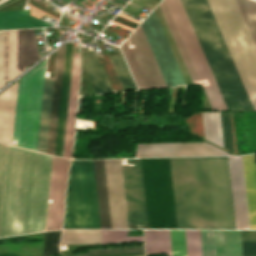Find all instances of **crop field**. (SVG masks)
<instances>
[{
	"label": "crop field",
	"mask_w": 256,
	"mask_h": 256,
	"mask_svg": "<svg viewBox=\"0 0 256 256\" xmlns=\"http://www.w3.org/2000/svg\"><path fill=\"white\" fill-rule=\"evenodd\" d=\"M53 156L8 145L0 237L45 229Z\"/></svg>",
	"instance_id": "1"
},
{
	"label": "crop field",
	"mask_w": 256,
	"mask_h": 256,
	"mask_svg": "<svg viewBox=\"0 0 256 256\" xmlns=\"http://www.w3.org/2000/svg\"><path fill=\"white\" fill-rule=\"evenodd\" d=\"M229 110H254L206 0H181Z\"/></svg>",
	"instance_id": "2"
},
{
	"label": "crop field",
	"mask_w": 256,
	"mask_h": 256,
	"mask_svg": "<svg viewBox=\"0 0 256 256\" xmlns=\"http://www.w3.org/2000/svg\"><path fill=\"white\" fill-rule=\"evenodd\" d=\"M170 162L178 229H214L206 157Z\"/></svg>",
	"instance_id": "3"
},
{
	"label": "crop field",
	"mask_w": 256,
	"mask_h": 256,
	"mask_svg": "<svg viewBox=\"0 0 256 256\" xmlns=\"http://www.w3.org/2000/svg\"><path fill=\"white\" fill-rule=\"evenodd\" d=\"M256 110V47L235 0H208Z\"/></svg>",
	"instance_id": "4"
},
{
	"label": "crop field",
	"mask_w": 256,
	"mask_h": 256,
	"mask_svg": "<svg viewBox=\"0 0 256 256\" xmlns=\"http://www.w3.org/2000/svg\"><path fill=\"white\" fill-rule=\"evenodd\" d=\"M141 163L149 228L177 229L169 158Z\"/></svg>",
	"instance_id": "5"
},
{
	"label": "crop field",
	"mask_w": 256,
	"mask_h": 256,
	"mask_svg": "<svg viewBox=\"0 0 256 256\" xmlns=\"http://www.w3.org/2000/svg\"><path fill=\"white\" fill-rule=\"evenodd\" d=\"M63 228H100L92 160L72 161Z\"/></svg>",
	"instance_id": "6"
},
{
	"label": "crop field",
	"mask_w": 256,
	"mask_h": 256,
	"mask_svg": "<svg viewBox=\"0 0 256 256\" xmlns=\"http://www.w3.org/2000/svg\"><path fill=\"white\" fill-rule=\"evenodd\" d=\"M93 164L101 228H128L120 159Z\"/></svg>",
	"instance_id": "7"
},
{
	"label": "crop field",
	"mask_w": 256,
	"mask_h": 256,
	"mask_svg": "<svg viewBox=\"0 0 256 256\" xmlns=\"http://www.w3.org/2000/svg\"><path fill=\"white\" fill-rule=\"evenodd\" d=\"M46 60L21 78L14 139L17 146L36 150Z\"/></svg>",
	"instance_id": "8"
},
{
	"label": "crop field",
	"mask_w": 256,
	"mask_h": 256,
	"mask_svg": "<svg viewBox=\"0 0 256 256\" xmlns=\"http://www.w3.org/2000/svg\"><path fill=\"white\" fill-rule=\"evenodd\" d=\"M35 32V29H34ZM33 29L0 32V87L38 60Z\"/></svg>",
	"instance_id": "9"
},
{
	"label": "crop field",
	"mask_w": 256,
	"mask_h": 256,
	"mask_svg": "<svg viewBox=\"0 0 256 256\" xmlns=\"http://www.w3.org/2000/svg\"><path fill=\"white\" fill-rule=\"evenodd\" d=\"M195 70L201 82L206 81L207 85L202 86L213 110H228L221 93L217 87L214 77L206 62L203 52L199 46L196 36L188 21L180 0H166ZM166 4V5H167Z\"/></svg>",
	"instance_id": "10"
},
{
	"label": "crop field",
	"mask_w": 256,
	"mask_h": 256,
	"mask_svg": "<svg viewBox=\"0 0 256 256\" xmlns=\"http://www.w3.org/2000/svg\"><path fill=\"white\" fill-rule=\"evenodd\" d=\"M135 48L129 49L126 41L121 46L139 89L167 87L141 26L129 37Z\"/></svg>",
	"instance_id": "11"
},
{
	"label": "crop field",
	"mask_w": 256,
	"mask_h": 256,
	"mask_svg": "<svg viewBox=\"0 0 256 256\" xmlns=\"http://www.w3.org/2000/svg\"><path fill=\"white\" fill-rule=\"evenodd\" d=\"M215 229H235L227 157H207Z\"/></svg>",
	"instance_id": "12"
},
{
	"label": "crop field",
	"mask_w": 256,
	"mask_h": 256,
	"mask_svg": "<svg viewBox=\"0 0 256 256\" xmlns=\"http://www.w3.org/2000/svg\"><path fill=\"white\" fill-rule=\"evenodd\" d=\"M122 165L129 228H148L140 159Z\"/></svg>",
	"instance_id": "13"
},
{
	"label": "crop field",
	"mask_w": 256,
	"mask_h": 256,
	"mask_svg": "<svg viewBox=\"0 0 256 256\" xmlns=\"http://www.w3.org/2000/svg\"><path fill=\"white\" fill-rule=\"evenodd\" d=\"M141 26L165 81L174 80L176 86L186 84L154 12L148 16Z\"/></svg>",
	"instance_id": "14"
},
{
	"label": "crop field",
	"mask_w": 256,
	"mask_h": 256,
	"mask_svg": "<svg viewBox=\"0 0 256 256\" xmlns=\"http://www.w3.org/2000/svg\"><path fill=\"white\" fill-rule=\"evenodd\" d=\"M70 160L54 156L49 198L47 230L61 228L63 219L64 193Z\"/></svg>",
	"instance_id": "15"
},
{
	"label": "crop field",
	"mask_w": 256,
	"mask_h": 256,
	"mask_svg": "<svg viewBox=\"0 0 256 256\" xmlns=\"http://www.w3.org/2000/svg\"><path fill=\"white\" fill-rule=\"evenodd\" d=\"M230 155L208 143L138 144L136 157Z\"/></svg>",
	"instance_id": "16"
},
{
	"label": "crop field",
	"mask_w": 256,
	"mask_h": 256,
	"mask_svg": "<svg viewBox=\"0 0 256 256\" xmlns=\"http://www.w3.org/2000/svg\"><path fill=\"white\" fill-rule=\"evenodd\" d=\"M228 161L236 229H249L241 156Z\"/></svg>",
	"instance_id": "17"
},
{
	"label": "crop field",
	"mask_w": 256,
	"mask_h": 256,
	"mask_svg": "<svg viewBox=\"0 0 256 256\" xmlns=\"http://www.w3.org/2000/svg\"><path fill=\"white\" fill-rule=\"evenodd\" d=\"M66 44L57 50L46 153L54 155Z\"/></svg>",
	"instance_id": "18"
},
{
	"label": "crop field",
	"mask_w": 256,
	"mask_h": 256,
	"mask_svg": "<svg viewBox=\"0 0 256 256\" xmlns=\"http://www.w3.org/2000/svg\"><path fill=\"white\" fill-rule=\"evenodd\" d=\"M79 78H80L79 54H74L70 93H69L64 153H63V157L69 158V159L71 157V151H72V145H73L74 121H75V111H76V105H77Z\"/></svg>",
	"instance_id": "19"
},
{
	"label": "crop field",
	"mask_w": 256,
	"mask_h": 256,
	"mask_svg": "<svg viewBox=\"0 0 256 256\" xmlns=\"http://www.w3.org/2000/svg\"><path fill=\"white\" fill-rule=\"evenodd\" d=\"M17 88L18 82L0 94V142L12 144Z\"/></svg>",
	"instance_id": "20"
},
{
	"label": "crop field",
	"mask_w": 256,
	"mask_h": 256,
	"mask_svg": "<svg viewBox=\"0 0 256 256\" xmlns=\"http://www.w3.org/2000/svg\"><path fill=\"white\" fill-rule=\"evenodd\" d=\"M225 255L242 256L241 237L243 256H256V231H223Z\"/></svg>",
	"instance_id": "21"
},
{
	"label": "crop field",
	"mask_w": 256,
	"mask_h": 256,
	"mask_svg": "<svg viewBox=\"0 0 256 256\" xmlns=\"http://www.w3.org/2000/svg\"><path fill=\"white\" fill-rule=\"evenodd\" d=\"M250 229H256V162L254 154L242 156Z\"/></svg>",
	"instance_id": "22"
},
{
	"label": "crop field",
	"mask_w": 256,
	"mask_h": 256,
	"mask_svg": "<svg viewBox=\"0 0 256 256\" xmlns=\"http://www.w3.org/2000/svg\"><path fill=\"white\" fill-rule=\"evenodd\" d=\"M81 58L95 92H112L94 51L81 53Z\"/></svg>",
	"instance_id": "23"
},
{
	"label": "crop field",
	"mask_w": 256,
	"mask_h": 256,
	"mask_svg": "<svg viewBox=\"0 0 256 256\" xmlns=\"http://www.w3.org/2000/svg\"><path fill=\"white\" fill-rule=\"evenodd\" d=\"M40 20V19H39ZM29 16V10L0 12V30L50 26Z\"/></svg>",
	"instance_id": "24"
},
{
	"label": "crop field",
	"mask_w": 256,
	"mask_h": 256,
	"mask_svg": "<svg viewBox=\"0 0 256 256\" xmlns=\"http://www.w3.org/2000/svg\"><path fill=\"white\" fill-rule=\"evenodd\" d=\"M52 82H53V78H45L40 127H39L38 146H37V148H39V151L44 153L46 149Z\"/></svg>",
	"instance_id": "25"
},
{
	"label": "crop field",
	"mask_w": 256,
	"mask_h": 256,
	"mask_svg": "<svg viewBox=\"0 0 256 256\" xmlns=\"http://www.w3.org/2000/svg\"><path fill=\"white\" fill-rule=\"evenodd\" d=\"M159 6H160V8H161V10L163 12V15H164V17H165V19L167 21V24H168V26L170 28V31H171V33H172V35L174 37V40H175V42H176V44L178 46V49H179V51H180V53L182 55V58H183V60L185 62V65H186V67H187V69L189 71V74H190L192 80L193 81L199 80L197 75H196V72H195V70L193 68V65H192V63L190 61V58H189V56L187 54V51H186V49L184 47V44H183L182 39H181V37L179 35V32H178V30L176 28V25H175V23L173 21V18H172L171 14H170V11H169V9H168V7L166 5L165 0H163L159 4ZM198 84H201L200 81L193 82V85H198Z\"/></svg>",
	"instance_id": "26"
},
{
	"label": "crop field",
	"mask_w": 256,
	"mask_h": 256,
	"mask_svg": "<svg viewBox=\"0 0 256 256\" xmlns=\"http://www.w3.org/2000/svg\"><path fill=\"white\" fill-rule=\"evenodd\" d=\"M72 43H67L55 155L60 156Z\"/></svg>",
	"instance_id": "27"
},
{
	"label": "crop field",
	"mask_w": 256,
	"mask_h": 256,
	"mask_svg": "<svg viewBox=\"0 0 256 256\" xmlns=\"http://www.w3.org/2000/svg\"><path fill=\"white\" fill-rule=\"evenodd\" d=\"M147 254L170 252L169 230H146Z\"/></svg>",
	"instance_id": "28"
},
{
	"label": "crop field",
	"mask_w": 256,
	"mask_h": 256,
	"mask_svg": "<svg viewBox=\"0 0 256 256\" xmlns=\"http://www.w3.org/2000/svg\"><path fill=\"white\" fill-rule=\"evenodd\" d=\"M61 244H102L100 230H63Z\"/></svg>",
	"instance_id": "29"
},
{
	"label": "crop field",
	"mask_w": 256,
	"mask_h": 256,
	"mask_svg": "<svg viewBox=\"0 0 256 256\" xmlns=\"http://www.w3.org/2000/svg\"><path fill=\"white\" fill-rule=\"evenodd\" d=\"M109 59L124 91L136 90L129 70L121 53L110 55Z\"/></svg>",
	"instance_id": "30"
},
{
	"label": "crop field",
	"mask_w": 256,
	"mask_h": 256,
	"mask_svg": "<svg viewBox=\"0 0 256 256\" xmlns=\"http://www.w3.org/2000/svg\"><path fill=\"white\" fill-rule=\"evenodd\" d=\"M206 139L223 147L219 112H204Z\"/></svg>",
	"instance_id": "31"
},
{
	"label": "crop field",
	"mask_w": 256,
	"mask_h": 256,
	"mask_svg": "<svg viewBox=\"0 0 256 256\" xmlns=\"http://www.w3.org/2000/svg\"><path fill=\"white\" fill-rule=\"evenodd\" d=\"M236 2L240 8L243 18L256 45V1L236 0Z\"/></svg>",
	"instance_id": "32"
},
{
	"label": "crop field",
	"mask_w": 256,
	"mask_h": 256,
	"mask_svg": "<svg viewBox=\"0 0 256 256\" xmlns=\"http://www.w3.org/2000/svg\"><path fill=\"white\" fill-rule=\"evenodd\" d=\"M103 244L113 242L143 241V236H126L128 230H101Z\"/></svg>",
	"instance_id": "33"
},
{
	"label": "crop field",
	"mask_w": 256,
	"mask_h": 256,
	"mask_svg": "<svg viewBox=\"0 0 256 256\" xmlns=\"http://www.w3.org/2000/svg\"><path fill=\"white\" fill-rule=\"evenodd\" d=\"M201 256H216L214 231L199 230Z\"/></svg>",
	"instance_id": "34"
},
{
	"label": "crop field",
	"mask_w": 256,
	"mask_h": 256,
	"mask_svg": "<svg viewBox=\"0 0 256 256\" xmlns=\"http://www.w3.org/2000/svg\"><path fill=\"white\" fill-rule=\"evenodd\" d=\"M60 233L61 230L45 232L42 256H49L59 253L58 244Z\"/></svg>",
	"instance_id": "35"
},
{
	"label": "crop field",
	"mask_w": 256,
	"mask_h": 256,
	"mask_svg": "<svg viewBox=\"0 0 256 256\" xmlns=\"http://www.w3.org/2000/svg\"><path fill=\"white\" fill-rule=\"evenodd\" d=\"M172 256H186L184 230H170Z\"/></svg>",
	"instance_id": "36"
},
{
	"label": "crop field",
	"mask_w": 256,
	"mask_h": 256,
	"mask_svg": "<svg viewBox=\"0 0 256 256\" xmlns=\"http://www.w3.org/2000/svg\"><path fill=\"white\" fill-rule=\"evenodd\" d=\"M224 148L233 152V141L229 112H220Z\"/></svg>",
	"instance_id": "37"
},
{
	"label": "crop field",
	"mask_w": 256,
	"mask_h": 256,
	"mask_svg": "<svg viewBox=\"0 0 256 256\" xmlns=\"http://www.w3.org/2000/svg\"><path fill=\"white\" fill-rule=\"evenodd\" d=\"M187 256H200L198 230H185Z\"/></svg>",
	"instance_id": "38"
},
{
	"label": "crop field",
	"mask_w": 256,
	"mask_h": 256,
	"mask_svg": "<svg viewBox=\"0 0 256 256\" xmlns=\"http://www.w3.org/2000/svg\"><path fill=\"white\" fill-rule=\"evenodd\" d=\"M6 149H7V145L0 143V205H1V196H2Z\"/></svg>",
	"instance_id": "39"
},
{
	"label": "crop field",
	"mask_w": 256,
	"mask_h": 256,
	"mask_svg": "<svg viewBox=\"0 0 256 256\" xmlns=\"http://www.w3.org/2000/svg\"><path fill=\"white\" fill-rule=\"evenodd\" d=\"M217 256H224L222 231H215Z\"/></svg>",
	"instance_id": "40"
},
{
	"label": "crop field",
	"mask_w": 256,
	"mask_h": 256,
	"mask_svg": "<svg viewBox=\"0 0 256 256\" xmlns=\"http://www.w3.org/2000/svg\"><path fill=\"white\" fill-rule=\"evenodd\" d=\"M74 46L72 47V57H71V66H70V76H71V67H72V58H73ZM70 76H69V84H70ZM68 93H69V85H68ZM67 102H68V95H67ZM66 112H67V104H66ZM65 122H66V114H65ZM64 132H65V123H64ZM63 142H64V133H63ZM63 142H62V152H63ZM61 152V157H62Z\"/></svg>",
	"instance_id": "41"
},
{
	"label": "crop field",
	"mask_w": 256,
	"mask_h": 256,
	"mask_svg": "<svg viewBox=\"0 0 256 256\" xmlns=\"http://www.w3.org/2000/svg\"><path fill=\"white\" fill-rule=\"evenodd\" d=\"M138 93H139V91L135 92V94H134L133 112H137V110H138V101H137Z\"/></svg>",
	"instance_id": "42"
},
{
	"label": "crop field",
	"mask_w": 256,
	"mask_h": 256,
	"mask_svg": "<svg viewBox=\"0 0 256 256\" xmlns=\"http://www.w3.org/2000/svg\"><path fill=\"white\" fill-rule=\"evenodd\" d=\"M83 98H84V96H83V97H80V103H79V111H78V114H81Z\"/></svg>",
	"instance_id": "43"
},
{
	"label": "crop field",
	"mask_w": 256,
	"mask_h": 256,
	"mask_svg": "<svg viewBox=\"0 0 256 256\" xmlns=\"http://www.w3.org/2000/svg\"><path fill=\"white\" fill-rule=\"evenodd\" d=\"M139 256H145V255H139Z\"/></svg>",
	"instance_id": "44"
}]
</instances>
